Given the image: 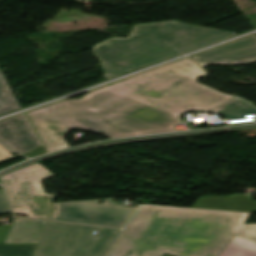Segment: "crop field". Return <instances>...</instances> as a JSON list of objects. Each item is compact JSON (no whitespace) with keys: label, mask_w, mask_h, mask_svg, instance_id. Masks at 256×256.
<instances>
[{"label":"crop field","mask_w":256,"mask_h":256,"mask_svg":"<svg viewBox=\"0 0 256 256\" xmlns=\"http://www.w3.org/2000/svg\"><path fill=\"white\" fill-rule=\"evenodd\" d=\"M218 256H256V242L236 235Z\"/></svg>","instance_id":"d1516ede"},{"label":"crop field","mask_w":256,"mask_h":256,"mask_svg":"<svg viewBox=\"0 0 256 256\" xmlns=\"http://www.w3.org/2000/svg\"><path fill=\"white\" fill-rule=\"evenodd\" d=\"M51 176L39 163L1 176L13 213L48 220L56 195L45 193L41 180Z\"/></svg>","instance_id":"f4fd0767"},{"label":"crop field","mask_w":256,"mask_h":256,"mask_svg":"<svg viewBox=\"0 0 256 256\" xmlns=\"http://www.w3.org/2000/svg\"><path fill=\"white\" fill-rule=\"evenodd\" d=\"M15 98L0 71V115L20 109Z\"/></svg>","instance_id":"22f410ed"},{"label":"crop field","mask_w":256,"mask_h":256,"mask_svg":"<svg viewBox=\"0 0 256 256\" xmlns=\"http://www.w3.org/2000/svg\"><path fill=\"white\" fill-rule=\"evenodd\" d=\"M202 67L210 64H251L256 62V35L190 57Z\"/></svg>","instance_id":"e52e79f7"},{"label":"crop field","mask_w":256,"mask_h":256,"mask_svg":"<svg viewBox=\"0 0 256 256\" xmlns=\"http://www.w3.org/2000/svg\"><path fill=\"white\" fill-rule=\"evenodd\" d=\"M43 153H46V150L44 148V146L24 155V156H28V157H34V156H37V155H40V154H43Z\"/></svg>","instance_id":"733c2abd"},{"label":"crop field","mask_w":256,"mask_h":256,"mask_svg":"<svg viewBox=\"0 0 256 256\" xmlns=\"http://www.w3.org/2000/svg\"><path fill=\"white\" fill-rule=\"evenodd\" d=\"M193 208L256 212V201L238 196L234 198L214 196L198 198Z\"/></svg>","instance_id":"3316defc"},{"label":"crop field","mask_w":256,"mask_h":256,"mask_svg":"<svg viewBox=\"0 0 256 256\" xmlns=\"http://www.w3.org/2000/svg\"><path fill=\"white\" fill-rule=\"evenodd\" d=\"M47 223L15 219L3 244L38 243Z\"/></svg>","instance_id":"5a996713"},{"label":"crop field","mask_w":256,"mask_h":256,"mask_svg":"<svg viewBox=\"0 0 256 256\" xmlns=\"http://www.w3.org/2000/svg\"><path fill=\"white\" fill-rule=\"evenodd\" d=\"M204 75L184 59L27 115L47 152L69 147L63 139L73 128L110 138L169 133L182 114L209 110L233 97L196 81Z\"/></svg>","instance_id":"8a807250"},{"label":"crop field","mask_w":256,"mask_h":256,"mask_svg":"<svg viewBox=\"0 0 256 256\" xmlns=\"http://www.w3.org/2000/svg\"><path fill=\"white\" fill-rule=\"evenodd\" d=\"M11 158H14V156L0 145V162Z\"/></svg>","instance_id":"5142ce71"},{"label":"crop field","mask_w":256,"mask_h":256,"mask_svg":"<svg viewBox=\"0 0 256 256\" xmlns=\"http://www.w3.org/2000/svg\"><path fill=\"white\" fill-rule=\"evenodd\" d=\"M0 141L19 154L41 145L24 114L0 121Z\"/></svg>","instance_id":"d8731c3e"},{"label":"crop field","mask_w":256,"mask_h":256,"mask_svg":"<svg viewBox=\"0 0 256 256\" xmlns=\"http://www.w3.org/2000/svg\"><path fill=\"white\" fill-rule=\"evenodd\" d=\"M236 33L177 21L134 25L128 38H110L93 47L106 79L234 36Z\"/></svg>","instance_id":"34b2d1b8"},{"label":"crop field","mask_w":256,"mask_h":256,"mask_svg":"<svg viewBox=\"0 0 256 256\" xmlns=\"http://www.w3.org/2000/svg\"><path fill=\"white\" fill-rule=\"evenodd\" d=\"M104 201L97 204L98 201ZM49 220L122 228L133 209L104 200H85L54 203Z\"/></svg>","instance_id":"dd49c442"},{"label":"crop field","mask_w":256,"mask_h":256,"mask_svg":"<svg viewBox=\"0 0 256 256\" xmlns=\"http://www.w3.org/2000/svg\"><path fill=\"white\" fill-rule=\"evenodd\" d=\"M37 244L0 245V256H32Z\"/></svg>","instance_id":"cbeb9de0"},{"label":"crop field","mask_w":256,"mask_h":256,"mask_svg":"<svg viewBox=\"0 0 256 256\" xmlns=\"http://www.w3.org/2000/svg\"><path fill=\"white\" fill-rule=\"evenodd\" d=\"M10 226H1L0 227V243L2 242V240L4 239L8 229Z\"/></svg>","instance_id":"4a817a6b"},{"label":"crop field","mask_w":256,"mask_h":256,"mask_svg":"<svg viewBox=\"0 0 256 256\" xmlns=\"http://www.w3.org/2000/svg\"><path fill=\"white\" fill-rule=\"evenodd\" d=\"M211 112L221 114L228 119L241 118L245 117L244 114L256 113V106L245 99L236 97Z\"/></svg>","instance_id":"28ad6ade"},{"label":"crop field","mask_w":256,"mask_h":256,"mask_svg":"<svg viewBox=\"0 0 256 256\" xmlns=\"http://www.w3.org/2000/svg\"><path fill=\"white\" fill-rule=\"evenodd\" d=\"M248 214L141 206L108 256H217L236 234L256 241Z\"/></svg>","instance_id":"ac0d7876"},{"label":"crop field","mask_w":256,"mask_h":256,"mask_svg":"<svg viewBox=\"0 0 256 256\" xmlns=\"http://www.w3.org/2000/svg\"><path fill=\"white\" fill-rule=\"evenodd\" d=\"M0 214H9L2 193H0Z\"/></svg>","instance_id":"d9b57169"},{"label":"crop field","mask_w":256,"mask_h":256,"mask_svg":"<svg viewBox=\"0 0 256 256\" xmlns=\"http://www.w3.org/2000/svg\"><path fill=\"white\" fill-rule=\"evenodd\" d=\"M98 237H92L93 231ZM120 230L49 222L33 256H104Z\"/></svg>","instance_id":"412701ff"}]
</instances>
